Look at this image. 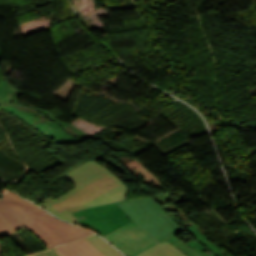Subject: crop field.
Listing matches in <instances>:
<instances>
[{
    "instance_id": "obj_1",
    "label": "crop field",
    "mask_w": 256,
    "mask_h": 256,
    "mask_svg": "<svg viewBox=\"0 0 256 256\" xmlns=\"http://www.w3.org/2000/svg\"><path fill=\"white\" fill-rule=\"evenodd\" d=\"M40 209L6 190L0 202V238L25 227L50 248L92 234L61 222Z\"/></svg>"
},
{
    "instance_id": "obj_2",
    "label": "crop field",
    "mask_w": 256,
    "mask_h": 256,
    "mask_svg": "<svg viewBox=\"0 0 256 256\" xmlns=\"http://www.w3.org/2000/svg\"><path fill=\"white\" fill-rule=\"evenodd\" d=\"M128 189L114 174L83 183L56 200L40 204L51 213L81 225L71 214L87 207L125 200Z\"/></svg>"
},
{
    "instance_id": "obj_3",
    "label": "crop field",
    "mask_w": 256,
    "mask_h": 256,
    "mask_svg": "<svg viewBox=\"0 0 256 256\" xmlns=\"http://www.w3.org/2000/svg\"><path fill=\"white\" fill-rule=\"evenodd\" d=\"M22 93L23 91L11 86L3 76L0 80V109L16 115L41 134L51 138L55 144L81 142L90 137L72 125L52 117L45 109L19 103L17 96Z\"/></svg>"
},
{
    "instance_id": "obj_4",
    "label": "crop field",
    "mask_w": 256,
    "mask_h": 256,
    "mask_svg": "<svg viewBox=\"0 0 256 256\" xmlns=\"http://www.w3.org/2000/svg\"><path fill=\"white\" fill-rule=\"evenodd\" d=\"M137 224L158 240L182 231V229L162 210L150 196L116 202Z\"/></svg>"
},
{
    "instance_id": "obj_5",
    "label": "crop field",
    "mask_w": 256,
    "mask_h": 256,
    "mask_svg": "<svg viewBox=\"0 0 256 256\" xmlns=\"http://www.w3.org/2000/svg\"><path fill=\"white\" fill-rule=\"evenodd\" d=\"M73 215L82 226L94 230L102 236L133 221L115 203L84 209L74 212Z\"/></svg>"
},
{
    "instance_id": "obj_6",
    "label": "crop field",
    "mask_w": 256,
    "mask_h": 256,
    "mask_svg": "<svg viewBox=\"0 0 256 256\" xmlns=\"http://www.w3.org/2000/svg\"><path fill=\"white\" fill-rule=\"evenodd\" d=\"M105 238L128 256H137L161 243L134 222L105 236Z\"/></svg>"
},
{
    "instance_id": "obj_7",
    "label": "crop field",
    "mask_w": 256,
    "mask_h": 256,
    "mask_svg": "<svg viewBox=\"0 0 256 256\" xmlns=\"http://www.w3.org/2000/svg\"><path fill=\"white\" fill-rule=\"evenodd\" d=\"M111 172L107 170L104 166L93 161L86 163L79 168L73 170L65 177L75 186L90 181L102 176L110 175Z\"/></svg>"
},
{
    "instance_id": "obj_8",
    "label": "crop field",
    "mask_w": 256,
    "mask_h": 256,
    "mask_svg": "<svg viewBox=\"0 0 256 256\" xmlns=\"http://www.w3.org/2000/svg\"><path fill=\"white\" fill-rule=\"evenodd\" d=\"M118 158L122 160L124 162L125 167L139 179H141L144 182L153 184L159 187L160 189L162 188L159 182L156 180V178L145 168L147 165H145L144 163H142L141 161L137 160L134 157L127 158L126 156H123Z\"/></svg>"
},
{
    "instance_id": "obj_9",
    "label": "crop field",
    "mask_w": 256,
    "mask_h": 256,
    "mask_svg": "<svg viewBox=\"0 0 256 256\" xmlns=\"http://www.w3.org/2000/svg\"><path fill=\"white\" fill-rule=\"evenodd\" d=\"M152 197L158 202V204L164 209V211L177 212L183 225L186 228L189 227L190 225L194 224V222L187 216V214L185 212H183L181 209H179L177 206H175L172 203V199H171L168 191H165L161 194L154 195Z\"/></svg>"
},
{
    "instance_id": "obj_10",
    "label": "crop field",
    "mask_w": 256,
    "mask_h": 256,
    "mask_svg": "<svg viewBox=\"0 0 256 256\" xmlns=\"http://www.w3.org/2000/svg\"><path fill=\"white\" fill-rule=\"evenodd\" d=\"M189 233H191L194 237H196L199 241H201L202 243H204L208 248H210L211 250H213L215 253H217L219 256H223L221 249L218 245H215L213 243H211L209 240H207L200 232L199 228L196 226V224H194L193 226L189 227L186 229ZM189 246H191L192 248H194L196 251H198L202 256H208L207 254H205L202 250L206 249L204 248L202 245H200L199 243H197L196 241L187 243ZM211 254L209 256H214V254Z\"/></svg>"
},
{
    "instance_id": "obj_11",
    "label": "crop field",
    "mask_w": 256,
    "mask_h": 256,
    "mask_svg": "<svg viewBox=\"0 0 256 256\" xmlns=\"http://www.w3.org/2000/svg\"><path fill=\"white\" fill-rule=\"evenodd\" d=\"M140 256H186L167 241L147 250Z\"/></svg>"
},
{
    "instance_id": "obj_12",
    "label": "crop field",
    "mask_w": 256,
    "mask_h": 256,
    "mask_svg": "<svg viewBox=\"0 0 256 256\" xmlns=\"http://www.w3.org/2000/svg\"><path fill=\"white\" fill-rule=\"evenodd\" d=\"M87 239L100 251H102L106 256H122L118 251H116L112 246H110L103 239L93 234Z\"/></svg>"
},
{
    "instance_id": "obj_13",
    "label": "crop field",
    "mask_w": 256,
    "mask_h": 256,
    "mask_svg": "<svg viewBox=\"0 0 256 256\" xmlns=\"http://www.w3.org/2000/svg\"><path fill=\"white\" fill-rule=\"evenodd\" d=\"M56 250L62 256H90L87 252H85L74 242L58 246Z\"/></svg>"
},
{
    "instance_id": "obj_14",
    "label": "crop field",
    "mask_w": 256,
    "mask_h": 256,
    "mask_svg": "<svg viewBox=\"0 0 256 256\" xmlns=\"http://www.w3.org/2000/svg\"><path fill=\"white\" fill-rule=\"evenodd\" d=\"M167 241H169L175 247L186 253L187 256H201L194 249L182 243L176 236L168 239Z\"/></svg>"
},
{
    "instance_id": "obj_15",
    "label": "crop field",
    "mask_w": 256,
    "mask_h": 256,
    "mask_svg": "<svg viewBox=\"0 0 256 256\" xmlns=\"http://www.w3.org/2000/svg\"><path fill=\"white\" fill-rule=\"evenodd\" d=\"M80 247L87 251L91 256H105L96 249L86 238L75 241Z\"/></svg>"
},
{
    "instance_id": "obj_16",
    "label": "crop field",
    "mask_w": 256,
    "mask_h": 256,
    "mask_svg": "<svg viewBox=\"0 0 256 256\" xmlns=\"http://www.w3.org/2000/svg\"><path fill=\"white\" fill-rule=\"evenodd\" d=\"M27 256H59V255L55 252L54 248H50V249L44 250L42 252L30 254Z\"/></svg>"
},
{
    "instance_id": "obj_17",
    "label": "crop field",
    "mask_w": 256,
    "mask_h": 256,
    "mask_svg": "<svg viewBox=\"0 0 256 256\" xmlns=\"http://www.w3.org/2000/svg\"><path fill=\"white\" fill-rule=\"evenodd\" d=\"M170 215V217L182 228V229H185L184 226L182 225L179 217H177V214L176 213H173V212H166Z\"/></svg>"
},
{
    "instance_id": "obj_18",
    "label": "crop field",
    "mask_w": 256,
    "mask_h": 256,
    "mask_svg": "<svg viewBox=\"0 0 256 256\" xmlns=\"http://www.w3.org/2000/svg\"><path fill=\"white\" fill-rule=\"evenodd\" d=\"M0 256H1V244H0Z\"/></svg>"
}]
</instances>
